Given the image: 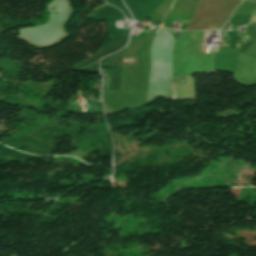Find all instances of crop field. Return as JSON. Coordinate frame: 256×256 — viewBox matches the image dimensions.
I'll list each match as a JSON object with an SVG mask.
<instances>
[{"label": "crop field", "mask_w": 256, "mask_h": 256, "mask_svg": "<svg viewBox=\"0 0 256 256\" xmlns=\"http://www.w3.org/2000/svg\"><path fill=\"white\" fill-rule=\"evenodd\" d=\"M172 95H173V100H174V94H173V89H172Z\"/></svg>", "instance_id": "obj_1"}, {"label": "crop field", "mask_w": 256, "mask_h": 256, "mask_svg": "<svg viewBox=\"0 0 256 256\" xmlns=\"http://www.w3.org/2000/svg\"><path fill=\"white\" fill-rule=\"evenodd\" d=\"M218 51V48H215V52H217Z\"/></svg>", "instance_id": "obj_2"}]
</instances>
